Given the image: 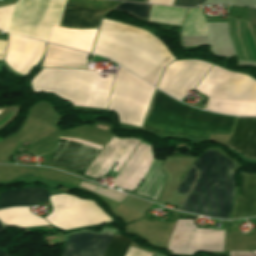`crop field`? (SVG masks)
<instances>
[{
    "mask_svg": "<svg viewBox=\"0 0 256 256\" xmlns=\"http://www.w3.org/2000/svg\"><path fill=\"white\" fill-rule=\"evenodd\" d=\"M92 53L112 59L153 85L164 67L175 59L151 34L105 19Z\"/></svg>",
    "mask_w": 256,
    "mask_h": 256,
    "instance_id": "obj_1",
    "label": "crop field"
},
{
    "mask_svg": "<svg viewBox=\"0 0 256 256\" xmlns=\"http://www.w3.org/2000/svg\"><path fill=\"white\" fill-rule=\"evenodd\" d=\"M234 165L214 150L200 155L193 165L198 178L180 210L228 219L235 191L230 172Z\"/></svg>",
    "mask_w": 256,
    "mask_h": 256,
    "instance_id": "obj_2",
    "label": "crop field"
},
{
    "mask_svg": "<svg viewBox=\"0 0 256 256\" xmlns=\"http://www.w3.org/2000/svg\"><path fill=\"white\" fill-rule=\"evenodd\" d=\"M235 119L191 108L156 90L142 128L160 134L206 139L210 131L232 132Z\"/></svg>",
    "mask_w": 256,
    "mask_h": 256,
    "instance_id": "obj_3",
    "label": "crop field"
},
{
    "mask_svg": "<svg viewBox=\"0 0 256 256\" xmlns=\"http://www.w3.org/2000/svg\"><path fill=\"white\" fill-rule=\"evenodd\" d=\"M113 76L101 78L90 70L42 69L31 87L33 91L54 93L73 105L106 109Z\"/></svg>",
    "mask_w": 256,
    "mask_h": 256,
    "instance_id": "obj_4",
    "label": "crop field"
},
{
    "mask_svg": "<svg viewBox=\"0 0 256 256\" xmlns=\"http://www.w3.org/2000/svg\"><path fill=\"white\" fill-rule=\"evenodd\" d=\"M66 1L18 0L8 31L47 41L53 25L59 26ZM13 5L0 7V30L7 31Z\"/></svg>",
    "mask_w": 256,
    "mask_h": 256,
    "instance_id": "obj_5",
    "label": "crop field"
},
{
    "mask_svg": "<svg viewBox=\"0 0 256 256\" xmlns=\"http://www.w3.org/2000/svg\"><path fill=\"white\" fill-rule=\"evenodd\" d=\"M155 88L119 68L110 96L109 109L122 123L140 127Z\"/></svg>",
    "mask_w": 256,
    "mask_h": 256,
    "instance_id": "obj_6",
    "label": "crop field"
},
{
    "mask_svg": "<svg viewBox=\"0 0 256 256\" xmlns=\"http://www.w3.org/2000/svg\"><path fill=\"white\" fill-rule=\"evenodd\" d=\"M224 234L225 231L197 229L193 220H177L167 248L176 254H191L198 250L222 252Z\"/></svg>",
    "mask_w": 256,
    "mask_h": 256,
    "instance_id": "obj_7",
    "label": "crop field"
},
{
    "mask_svg": "<svg viewBox=\"0 0 256 256\" xmlns=\"http://www.w3.org/2000/svg\"><path fill=\"white\" fill-rule=\"evenodd\" d=\"M121 2L108 0H68L61 25L76 29H98L103 11Z\"/></svg>",
    "mask_w": 256,
    "mask_h": 256,
    "instance_id": "obj_8",
    "label": "crop field"
},
{
    "mask_svg": "<svg viewBox=\"0 0 256 256\" xmlns=\"http://www.w3.org/2000/svg\"><path fill=\"white\" fill-rule=\"evenodd\" d=\"M103 144L102 141L61 136L50 162L84 171Z\"/></svg>",
    "mask_w": 256,
    "mask_h": 256,
    "instance_id": "obj_9",
    "label": "crop field"
},
{
    "mask_svg": "<svg viewBox=\"0 0 256 256\" xmlns=\"http://www.w3.org/2000/svg\"><path fill=\"white\" fill-rule=\"evenodd\" d=\"M5 45L6 42H0V60H3ZM44 46V42L9 34L5 62L14 71L26 75L40 58Z\"/></svg>",
    "mask_w": 256,
    "mask_h": 256,
    "instance_id": "obj_10",
    "label": "crop field"
},
{
    "mask_svg": "<svg viewBox=\"0 0 256 256\" xmlns=\"http://www.w3.org/2000/svg\"><path fill=\"white\" fill-rule=\"evenodd\" d=\"M112 236L87 232L68 235L61 256H102Z\"/></svg>",
    "mask_w": 256,
    "mask_h": 256,
    "instance_id": "obj_11",
    "label": "crop field"
},
{
    "mask_svg": "<svg viewBox=\"0 0 256 256\" xmlns=\"http://www.w3.org/2000/svg\"><path fill=\"white\" fill-rule=\"evenodd\" d=\"M249 159H256V118L237 117L233 135L227 143Z\"/></svg>",
    "mask_w": 256,
    "mask_h": 256,
    "instance_id": "obj_12",
    "label": "crop field"
},
{
    "mask_svg": "<svg viewBox=\"0 0 256 256\" xmlns=\"http://www.w3.org/2000/svg\"><path fill=\"white\" fill-rule=\"evenodd\" d=\"M88 55L47 44L42 67L86 68Z\"/></svg>",
    "mask_w": 256,
    "mask_h": 256,
    "instance_id": "obj_13",
    "label": "crop field"
},
{
    "mask_svg": "<svg viewBox=\"0 0 256 256\" xmlns=\"http://www.w3.org/2000/svg\"><path fill=\"white\" fill-rule=\"evenodd\" d=\"M242 197L237 199L232 219L256 216L255 175L241 174Z\"/></svg>",
    "mask_w": 256,
    "mask_h": 256,
    "instance_id": "obj_14",
    "label": "crop field"
},
{
    "mask_svg": "<svg viewBox=\"0 0 256 256\" xmlns=\"http://www.w3.org/2000/svg\"><path fill=\"white\" fill-rule=\"evenodd\" d=\"M47 200L45 189H19L0 191V208L13 205H33Z\"/></svg>",
    "mask_w": 256,
    "mask_h": 256,
    "instance_id": "obj_15",
    "label": "crop field"
},
{
    "mask_svg": "<svg viewBox=\"0 0 256 256\" xmlns=\"http://www.w3.org/2000/svg\"><path fill=\"white\" fill-rule=\"evenodd\" d=\"M160 161L153 160L144 176V182L136 191L139 195H144L155 200L161 191L165 176L159 169Z\"/></svg>",
    "mask_w": 256,
    "mask_h": 256,
    "instance_id": "obj_16",
    "label": "crop field"
},
{
    "mask_svg": "<svg viewBox=\"0 0 256 256\" xmlns=\"http://www.w3.org/2000/svg\"><path fill=\"white\" fill-rule=\"evenodd\" d=\"M131 239L114 234L104 256H124Z\"/></svg>",
    "mask_w": 256,
    "mask_h": 256,
    "instance_id": "obj_17",
    "label": "crop field"
},
{
    "mask_svg": "<svg viewBox=\"0 0 256 256\" xmlns=\"http://www.w3.org/2000/svg\"><path fill=\"white\" fill-rule=\"evenodd\" d=\"M150 7L151 5L147 4L124 2L119 4L115 9L125 11L136 17L148 19Z\"/></svg>",
    "mask_w": 256,
    "mask_h": 256,
    "instance_id": "obj_18",
    "label": "crop field"
},
{
    "mask_svg": "<svg viewBox=\"0 0 256 256\" xmlns=\"http://www.w3.org/2000/svg\"><path fill=\"white\" fill-rule=\"evenodd\" d=\"M197 171L196 169L192 166L190 170L187 172L186 177L182 184L178 187L176 191L183 193L187 195L189 189L191 188L195 178H196Z\"/></svg>",
    "mask_w": 256,
    "mask_h": 256,
    "instance_id": "obj_19",
    "label": "crop field"
},
{
    "mask_svg": "<svg viewBox=\"0 0 256 256\" xmlns=\"http://www.w3.org/2000/svg\"><path fill=\"white\" fill-rule=\"evenodd\" d=\"M204 1L205 0H175L173 5L194 7L200 6Z\"/></svg>",
    "mask_w": 256,
    "mask_h": 256,
    "instance_id": "obj_20",
    "label": "crop field"
},
{
    "mask_svg": "<svg viewBox=\"0 0 256 256\" xmlns=\"http://www.w3.org/2000/svg\"><path fill=\"white\" fill-rule=\"evenodd\" d=\"M125 256H151V253L129 247Z\"/></svg>",
    "mask_w": 256,
    "mask_h": 256,
    "instance_id": "obj_21",
    "label": "crop field"
},
{
    "mask_svg": "<svg viewBox=\"0 0 256 256\" xmlns=\"http://www.w3.org/2000/svg\"><path fill=\"white\" fill-rule=\"evenodd\" d=\"M249 22L252 27H256V9L249 8Z\"/></svg>",
    "mask_w": 256,
    "mask_h": 256,
    "instance_id": "obj_22",
    "label": "crop field"
},
{
    "mask_svg": "<svg viewBox=\"0 0 256 256\" xmlns=\"http://www.w3.org/2000/svg\"><path fill=\"white\" fill-rule=\"evenodd\" d=\"M230 256H253L250 252H230Z\"/></svg>",
    "mask_w": 256,
    "mask_h": 256,
    "instance_id": "obj_23",
    "label": "crop field"
},
{
    "mask_svg": "<svg viewBox=\"0 0 256 256\" xmlns=\"http://www.w3.org/2000/svg\"><path fill=\"white\" fill-rule=\"evenodd\" d=\"M3 229L4 228L0 225V231L3 230ZM0 256H12V255H8L7 253L0 250Z\"/></svg>",
    "mask_w": 256,
    "mask_h": 256,
    "instance_id": "obj_24",
    "label": "crop field"
},
{
    "mask_svg": "<svg viewBox=\"0 0 256 256\" xmlns=\"http://www.w3.org/2000/svg\"><path fill=\"white\" fill-rule=\"evenodd\" d=\"M129 1H137V2H144V3H148V0H129Z\"/></svg>",
    "mask_w": 256,
    "mask_h": 256,
    "instance_id": "obj_25",
    "label": "crop field"
},
{
    "mask_svg": "<svg viewBox=\"0 0 256 256\" xmlns=\"http://www.w3.org/2000/svg\"><path fill=\"white\" fill-rule=\"evenodd\" d=\"M252 30H253L254 35H255V37H256V28H255V29H252Z\"/></svg>",
    "mask_w": 256,
    "mask_h": 256,
    "instance_id": "obj_26",
    "label": "crop field"
},
{
    "mask_svg": "<svg viewBox=\"0 0 256 256\" xmlns=\"http://www.w3.org/2000/svg\"><path fill=\"white\" fill-rule=\"evenodd\" d=\"M253 253L256 254V251H254Z\"/></svg>",
    "mask_w": 256,
    "mask_h": 256,
    "instance_id": "obj_27",
    "label": "crop field"
}]
</instances>
